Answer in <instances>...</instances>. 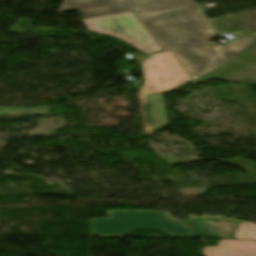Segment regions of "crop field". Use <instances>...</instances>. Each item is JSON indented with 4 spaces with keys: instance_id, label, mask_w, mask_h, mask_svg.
<instances>
[{
    "instance_id": "d8731c3e",
    "label": "crop field",
    "mask_w": 256,
    "mask_h": 256,
    "mask_svg": "<svg viewBox=\"0 0 256 256\" xmlns=\"http://www.w3.org/2000/svg\"><path fill=\"white\" fill-rule=\"evenodd\" d=\"M152 129L157 132L164 125L168 124L167 114L165 110L162 95L147 96Z\"/></svg>"
},
{
    "instance_id": "f4fd0767",
    "label": "crop field",
    "mask_w": 256,
    "mask_h": 256,
    "mask_svg": "<svg viewBox=\"0 0 256 256\" xmlns=\"http://www.w3.org/2000/svg\"><path fill=\"white\" fill-rule=\"evenodd\" d=\"M141 67L144 82L140 90L145 95L169 92L192 81L171 51L148 56Z\"/></svg>"
},
{
    "instance_id": "cbeb9de0",
    "label": "crop field",
    "mask_w": 256,
    "mask_h": 256,
    "mask_svg": "<svg viewBox=\"0 0 256 256\" xmlns=\"http://www.w3.org/2000/svg\"><path fill=\"white\" fill-rule=\"evenodd\" d=\"M30 114H50V107H49V105L32 107Z\"/></svg>"
},
{
    "instance_id": "5a996713",
    "label": "crop field",
    "mask_w": 256,
    "mask_h": 256,
    "mask_svg": "<svg viewBox=\"0 0 256 256\" xmlns=\"http://www.w3.org/2000/svg\"><path fill=\"white\" fill-rule=\"evenodd\" d=\"M126 1L129 0H63L57 13L100 7Z\"/></svg>"
},
{
    "instance_id": "34b2d1b8",
    "label": "crop field",
    "mask_w": 256,
    "mask_h": 256,
    "mask_svg": "<svg viewBox=\"0 0 256 256\" xmlns=\"http://www.w3.org/2000/svg\"><path fill=\"white\" fill-rule=\"evenodd\" d=\"M82 21L89 31L114 37L146 54L162 50L133 11Z\"/></svg>"
},
{
    "instance_id": "412701ff",
    "label": "crop field",
    "mask_w": 256,
    "mask_h": 256,
    "mask_svg": "<svg viewBox=\"0 0 256 256\" xmlns=\"http://www.w3.org/2000/svg\"><path fill=\"white\" fill-rule=\"evenodd\" d=\"M254 40L253 37H244L225 47L207 41L172 52L194 80L216 69Z\"/></svg>"
},
{
    "instance_id": "22f410ed",
    "label": "crop field",
    "mask_w": 256,
    "mask_h": 256,
    "mask_svg": "<svg viewBox=\"0 0 256 256\" xmlns=\"http://www.w3.org/2000/svg\"><path fill=\"white\" fill-rule=\"evenodd\" d=\"M30 108H4L0 107V115H22L29 114Z\"/></svg>"
},
{
    "instance_id": "3316defc",
    "label": "crop field",
    "mask_w": 256,
    "mask_h": 256,
    "mask_svg": "<svg viewBox=\"0 0 256 256\" xmlns=\"http://www.w3.org/2000/svg\"><path fill=\"white\" fill-rule=\"evenodd\" d=\"M130 10H131L130 3L126 2V3L111 5V6L82 10L80 11V13L84 18H88V17H95V16H101V15L121 13L125 11H130Z\"/></svg>"
},
{
    "instance_id": "28ad6ade",
    "label": "crop field",
    "mask_w": 256,
    "mask_h": 256,
    "mask_svg": "<svg viewBox=\"0 0 256 256\" xmlns=\"http://www.w3.org/2000/svg\"><path fill=\"white\" fill-rule=\"evenodd\" d=\"M236 239L256 240V225L240 222Z\"/></svg>"
},
{
    "instance_id": "e52e79f7",
    "label": "crop field",
    "mask_w": 256,
    "mask_h": 256,
    "mask_svg": "<svg viewBox=\"0 0 256 256\" xmlns=\"http://www.w3.org/2000/svg\"><path fill=\"white\" fill-rule=\"evenodd\" d=\"M205 256H256V242L244 240H220L218 246H207Z\"/></svg>"
},
{
    "instance_id": "dd49c442",
    "label": "crop field",
    "mask_w": 256,
    "mask_h": 256,
    "mask_svg": "<svg viewBox=\"0 0 256 256\" xmlns=\"http://www.w3.org/2000/svg\"><path fill=\"white\" fill-rule=\"evenodd\" d=\"M187 225L196 230V234L207 235L219 239H235L238 221L218 218L190 217L183 220Z\"/></svg>"
},
{
    "instance_id": "ac0d7876",
    "label": "crop field",
    "mask_w": 256,
    "mask_h": 256,
    "mask_svg": "<svg viewBox=\"0 0 256 256\" xmlns=\"http://www.w3.org/2000/svg\"><path fill=\"white\" fill-rule=\"evenodd\" d=\"M108 218L88 220L91 236L125 237L132 230H159L173 238L194 232L167 211H107Z\"/></svg>"
},
{
    "instance_id": "5142ce71",
    "label": "crop field",
    "mask_w": 256,
    "mask_h": 256,
    "mask_svg": "<svg viewBox=\"0 0 256 256\" xmlns=\"http://www.w3.org/2000/svg\"><path fill=\"white\" fill-rule=\"evenodd\" d=\"M132 1H135V0H132Z\"/></svg>"
},
{
    "instance_id": "d1516ede",
    "label": "crop field",
    "mask_w": 256,
    "mask_h": 256,
    "mask_svg": "<svg viewBox=\"0 0 256 256\" xmlns=\"http://www.w3.org/2000/svg\"><path fill=\"white\" fill-rule=\"evenodd\" d=\"M138 96H139L144 132H145V134H151L152 129H151V123H150V117H149L146 96L141 94L140 91L138 92Z\"/></svg>"
},
{
    "instance_id": "8a807250",
    "label": "crop field",
    "mask_w": 256,
    "mask_h": 256,
    "mask_svg": "<svg viewBox=\"0 0 256 256\" xmlns=\"http://www.w3.org/2000/svg\"><path fill=\"white\" fill-rule=\"evenodd\" d=\"M132 4L139 19L164 50L204 41L215 35L196 5L189 0H141Z\"/></svg>"
}]
</instances>
